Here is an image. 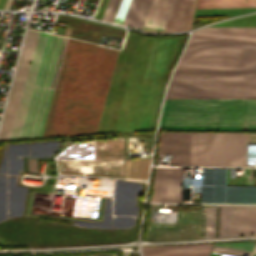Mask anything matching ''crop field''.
Listing matches in <instances>:
<instances>
[{"instance_id": "obj_1", "label": "crop field", "mask_w": 256, "mask_h": 256, "mask_svg": "<svg viewBox=\"0 0 256 256\" xmlns=\"http://www.w3.org/2000/svg\"><path fill=\"white\" fill-rule=\"evenodd\" d=\"M117 52L68 39L42 137L95 131Z\"/></svg>"}, {"instance_id": "obj_2", "label": "crop field", "mask_w": 256, "mask_h": 256, "mask_svg": "<svg viewBox=\"0 0 256 256\" xmlns=\"http://www.w3.org/2000/svg\"><path fill=\"white\" fill-rule=\"evenodd\" d=\"M256 71V27L193 32L174 72Z\"/></svg>"}, {"instance_id": "obj_3", "label": "crop field", "mask_w": 256, "mask_h": 256, "mask_svg": "<svg viewBox=\"0 0 256 256\" xmlns=\"http://www.w3.org/2000/svg\"><path fill=\"white\" fill-rule=\"evenodd\" d=\"M159 129L256 130V99H165Z\"/></svg>"}, {"instance_id": "obj_4", "label": "crop field", "mask_w": 256, "mask_h": 256, "mask_svg": "<svg viewBox=\"0 0 256 256\" xmlns=\"http://www.w3.org/2000/svg\"><path fill=\"white\" fill-rule=\"evenodd\" d=\"M165 98H256V72L174 73Z\"/></svg>"}, {"instance_id": "obj_5", "label": "crop field", "mask_w": 256, "mask_h": 256, "mask_svg": "<svg viewBox=\"0 0 256 256\" xmlns=\"http://www.w3.org/2000/svg\"><path fill=\"white\" fill-rule=\"evenodd\" d=\"M67 39L50 35L38 87L22 139L42 136Z\"/></svg>"}, {"instance_id": "obj_6", "label": "crop field", "mask_w": 256, "mask_h": 256, "mask_svg": "<svg viewBox=\"0 0 256 256\" xmlns=\"http://www.w3.org/2000/svg\"><path fill=\"white\" fill-rule=\"evenodd\" d=\"M214 133L161 134L158 153H170V164L212 166Z\"/></svg>"}, {"instance_id": "obj_7", "label": "crop field", "mask_w": 256, "mask_h": 256, "mask_svg": "<svg viewBox=\"0 0 256 256\" xmlns=\"http://www.w3.org/2000/svg\"><path fill=\"white\" fill-rule=\"evenodd\" d=\"M38 32L30 30L26 32L21 55L16 68L15 76L9 93L2 124L0 127V140L8 139L17 110L18 102L28 70V62L34 50Z\"/></svg>"}, {"instance_id": "obj_8", "label": "crop field", "mask_w": 256, "mask_h": 256, "mask_svg": "<svg viewBox=\"0 0 256 256\" xmlns=\"http://www.w3.org/2000/svg\"><path fill=\"white\" fill-rule=\"evenodd\" d=\"M49 35L47 33L38 34V39L34 54L31 60L29 71L27 74L25 86L20 100L18 112L13 126L10 139H21L31 108L34 92L36 89L39 73L41 70L44 54L46 51Z\"/></svg>"}, {"instance_id": "obj_9", "label": "crop field", "mask_w": 256, "mask_h": 256, "mask_svg": "<svg viewBox=\"0 0 256 256\" xmlns=\"http://www.w3.org/2000/svg\"><path fill=\"white\" fill-rule=\"evenodd\" d=\"M153 0H109L101 20L142 29Z\"/></svg>"}, {"instance_id": "obj_10", "label": "crop field", "mask_w": 256, "mask_h": 256, "mask_svg": "<svg viewBox=\"0 0 256 256\" xmlns=\"http://www.w3.org/2000/svg\"><path fill=\"white\" fill-rule=\"evenodd\" d=\"M248 133H215L213 166H245Z\"/></svg>"}, {"instance_id": "obj_11", "label": "crop field", "mask_w": 256, "mask_h": 256, "mask_svg": "<svg viewBox=\"0 0 256 256\" xmlns=\"http://www.w3.org/2000/svg\"><path fill=\"white\" fill-rule=\"evenodd\" d=\"M182 169L156 167L151 202H181Z\"/></svg>"}, {"instance_id": "obj_12", "label": "crop field", "mask_w": 256, "mask_h": 256, "mask_svg": "<svg viewBox=\"0 0 256 256\" xmlns=\"http://www.w3.org/2000/svg\"><path fill=\"white\" fill-rule=\"evenodd\" d=\"M206 237L229 236L230 206H206Z\"/></svg>"}, {"instance_id": "obj_13", "label": "crop field", "mask_w": 256, "mask_h": 256, "mask_svg": "<svg viewBox=\"0 0 256 256\" xmlns=\"http://www.w3.org/2000/svg\"><path fill=\"white\" fill-rule=\"evenodd\" d=\"M213 244L144 247L143 256H209Z\"/></svg>"}, {"instance_id": "obj_14", "label": "crop field", "mask_w": 256, "mask_h": 256, "mask_svg": "<svg viewBox=\"0 0 256 256\" xmlns=\"http://www.w3.org/2000/svg\"><path fill=\"white\" fill-rule=\"evenodd\" d=\"M195 1L196 0H176L164 32L190 30Z\"/></svg>"}, {"instance_id": "obj_15", "label": "crop field", "mask_w": 256, "mask_h": 256, "mask_svg": "<svg viewBox=\"0 0 256 256\" xmlns=\"http://www.w3.org/2000/svg\"><path fill=\"white\" fill-rule=\"evenodd\" d=\"M175 0H154L143 28L163 30Z\"/></svg>"}, {"instance_id": "obj_16", "label": "crop field", "mask_w": 256, "mask_h": 256, "mask_svg": "<svg viewBox=\"0 0 256 256\" xmlns=\"http://www.w3.org/2000/svg\"><path fill=\"white\" fill-rule=\"evenodd\" d=\"M198 0L197 9L256 8V0Z\"/></svg>"}, {"instance_id": "obj_17", "label": "crop field", "mask_w": 256, "mask_h": 256, "mask_svg": "<svg viewBox=\"0 0 256 256\" xmlns=\"http://www.w3.org/2000/svg\"><path fill=\"white\" fill-rule=\"evenodd\" d=\"M82 256H116V255L94 254V255H82Z\"/></svg>"}, {"instance_id": "obj_18", "label": "crop field", "mask_w": 256, "mask_h": 256, "mask_svg": "<svg viewBox=\"0 0 256 256\" xmlns=\"http://www.w3.org/2000/svg\"><path fill=\"white\" fill-rule=\"evenodd\" d=\"M12 0H8L4 9H8Z\"/></svg>"}]
</instances>
